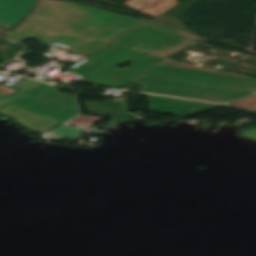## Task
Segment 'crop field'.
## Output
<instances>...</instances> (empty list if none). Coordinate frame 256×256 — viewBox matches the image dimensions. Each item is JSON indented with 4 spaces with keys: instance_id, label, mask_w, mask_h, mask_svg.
I'll list each match as a JSON object with an SVG mask.
<instances>
[{
    "instance_id": "3316defc",
    "label": "crop field",
    "mask_w": 256,
    "mask_h": 256,
    "mask_svg": "<svg viewBox=\"0 0 256 256\" xmlns=\"http://www.w3.org/2000/svg\"><path fill=\"white\" fill-rule=\"evenodd\" d=\"M148 97L152 112L167 111L186 116L178 100L151 95Z\"/></svg>"
},
{
    "instance_id": "22f410ed",
    "label": "crop field",
    "mask_w": 256,
    "mask_h": 256,
    "mask_svg": "<svg viewBox=\"0 0 256 256\" xmlns=\"http://www.w3.org/2000/svg\"><path fill=\"white\" fill-rule=\"evenodd\" d=\"M102 119H104V118L80 115V116L72 119L71 121L67 122L66 124L74 125L76 127L86 129V128L96 124L97 122L101 121Z\"/></svg>"
},
{
    "instance_id": "ac0d7876",
    "label": "crop field",
    "mask_w": 256,
    "mask_h": 256,
    "mask_svg": "<svg viewBox=\"0 0 256 256\" xmlns=\"http://www.w3.org/2000/svg\"><path fill=\"white\" fill-rule=\"evenodd\" d=\"M138 26L195 41L199 39L197 35L155 22L75 4L37 40L76 53L91 55Z\"/></svg>"
},
{
    "instance_id": "d9b57169",
    "label": "crop field",
    "mask_w": 256,
    "mask_h": 256,
    "mask_svg": "<svg viewBox=\"0 0 256 256\" xmlns=\"http://www.w3.org/2000/svg\"><path fill=\"white\" fill-rule=\"evenodd\" d=\"M242 102H247V103H252V104H256V95L254 96H251L249 98H246V99H243V100H240ZM239 101L237 102H234L232 104H235V105H239V106H244V107H248V108H252V109H256V106L254 105H248V104H242V103H238Z\"/></svg>"
},
{
    "instance_id": "412701ff",
    "label": "crop field",
    "mask_w": 256,
    "mask_h": 256,
    "mask_svg": "<svg viewBox=\"0 0 256 256\" xmlns=\"http://www.w3.org/2000/svg\"><path fill=\"white\" fill-rule=\"evenodd\" d=\"M56 88L43 84L11 104L60 124L76 116L77 109L74 97Z\"/></svg>"
},
{
    "instance_id": "8a807250",
    "label": "crop field",
    "mask_w": 256,
    "mask_h": 256,
    "mask_svg": "<svg viewBox=\"0 0 256 256\" xmlns=\"http://www.w3.org/2000/svg\"><path fill=\"white\" fill-rule=\"evenodd\" d=\"M195 41L138 27L66 70L95 85L120 88ZM125 63L131 67L118 69Z\"/></svg>"
},
{
    "instance_id": "5142ce71",
    "label": "crop field",
    "mask_w": 256,
    "mask_h": 256,
    "mask_svg": "<svg viewBox=\"0 0 256 256\" xmlns=\"http://www.w3.org/2000/svg\"><path fill=\"white\" fill-rule=\"evenodd\" d=\"M167 63H172V64H177V65H182V66H187V67H193V68H198V69H203V70H208V71H213V72H218V73H223V74H228V75H233V76H238V77H243V78H249V79H254L242 74L234 73V72H225V71H219V70H213V69H207V68H202V67H197V66H192V65H186V64H181V63H176V62H170L167 61Z\"/></svg>"
},
{
    "instance_id": "e52e79f7",
    "label": "crop field",
    "mask_w": 256,
    "mask_h": 256,
    "mask_svg": "<svg viewBox=\"0 0 256 256\" xmlns=\"http://www.w3.org/2000/svg\"><path fill=\"white\" fill-rule=\"evenodd\" d=\"M35 0H0V22L12 27L30 12Z\"/></svg>"
},
{
    "instance_id": "f4fd0767",
    "label": "crop field",
    "mask_w": 256,
    "mask_h": 256,
    "mask_svg": "<svg viewBox=\"0 0 256 256\" xmlns=\"http://www.w3.org/2000/svg\"><path fill=\"white\" fill-rule=\"evenodd\" d=\"M72 5V3L57 0H38L37 10L14 31L8 33L3 40L11 43L36 40Z\"/></svg>"
},
{
    "instance_id": "d8731c3e",
    "label": "crop field",
    "mask_w": 256,
    "mask_h": 256,
    "mask_svg": "<svg viewBox=\"0 0 256 256\" xmlns=\"http://www.w3.org/2000/svg\"><path fill=\"white\" fill-rule=\"evenodd\" d=\"M145 2L146 0H128L124 4L140 11L141 8L144 6ZM148 2L149 3L145 6L142 12L152 15L154 17L160 15L169 8L178 4L175 0H148Z\"/></svg>"
},
{
    "instance_id": "34b2d1b8",
    "label": "crop field",
    "mask_w": 256,
    "mask_h": 256,
    "mask_svg": "<svg viewBox=\"0 0 256 256\" xmlns=\"http://www.w3.org/2000/svg\"><path fill=\"white\" fill-rule=\"evenodd\" d=\"M145 74L150 75L152 78L143 79L141 78L142 75L133 81L143 84L141 91L144 92L225 103L233 98L256 91V87L253 86L157 66Z\"/></svg>"
},
{
    "instance_id": "d1516ede",
    "label": "crop field",
    "mask_w": 256,
    "mask_h": 256,
    "mask_svg": "<svg viewBox=\"0 0 256 256\" xmlns=\"http://www.w3.org/2000/svg\"><path fill=\"white\" fill-rule=\"evenodd\" d=\"M180 102L188 117L220 106L215 104L190 102L185 100H180Z\"/></svg>"
},
{
    "instance_id": "5a996713",
    "label": "crop field",
    "mask_w": 256,
    "mask_h": 256,
    "mask_svg": "<svg viewBox=\"0 0 256 256\" xmlns=\"http://www.w3.org/2000/svg\"><path fill=\"white\" fill-rule=\"evenodd\" d=\"M41 84L42 83L27 80L25 82L20 81L9 89L0 86V108Z\"/></svg>"
},
{
    "instance_id": "28ad6ade",
    "label": "crop field",
    "mask_w": 256,
    "mask_h": 256,
    "mask_svg": "<svg viewBox=\"0 0 256 256\" xmlns=\"http://www.w3.org/2000/svg\"><path fill=\"white\" fill-rule=\"evenodd\" d=\"M160 66L256 86V81L254 80L243 79V78H238V77H233V76H228V75H223V74H218V73H213V72H208V71H203V70H198L193 68H187V67H182V66H177V65L167 64V63H163Z\"/></svg>"
},
{
    "instance_id": "dd49c442",
    "label": "crop field",
    "mask_w": 256,
    "mask_h": 256,
    "mask_svg": "<svg viewBox=\"0 0 256 256\" xmlns=\"http://www.w3.org/2000/svg\"><path fill=\"white\" fill-rule=\"evenodd\" d=\"M0 114L17 119L32 132L43 133L57 125L11 104L0 109Z\"/></svg>"
},
{
    "instance_id": "cbeb9de0",
    "label": "crop field",
    "mask_w": 256,
    "mask_h": 256,
    "mask_svg": "<svg viewBox=\"0 0 256 256\" xmlns=\"http://www.w3.org/2000/svg\"><path fill=\"white\" fill-rule=\"evenodd\" d=\"M58 138H63L65 136H69V137H74V138H78L81 136V131L78 129H74L68 126H64V125H60L58 127H56L55 129L51 130L50 132H48Z\"/></svg>"
}]
</instances>
